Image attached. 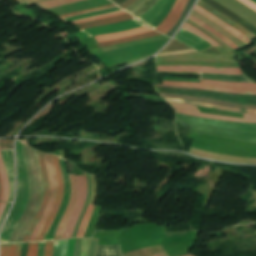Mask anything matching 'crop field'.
Instances as JSON below:
<instances>
[{
    "label": "crop field",
    "instance_id": "16",
    "mask_svg": "<svg viewBox=\"0 0 256 256\" xmlns=\"http://www.w3.org/2000/svg\"><path fill=\"white\" fill-rule=\"evenodd\" d=\"M174 39L196 49L197 51L211 47L209 43H207L200 37L182 29H180V31L176 34Z\"/></svg>",
    "mask_w": 256,
    "mask_h": 256
},
{
    "label": "crop field",
    "instance_id": "32",
    "mask_svg": "<svg viewBox=\"0 0 256 256\" xmlns=\"http://www.w3.org/2000/svg\"><path fill=\"white\" fill-rule=\"evenodd\" d=\"M200 83H211V84H219V85L238 86V87H256V84H248V83L217 82V81H206V80H200Z\"/></svg>",
    "mask_w": 256,
    "mask_h": 256
},
{
    "label": "crop field",
    "instance_id": "41",
    "mask_svg": "<svg viewBox=\"0 0 256 256\" xmlns=\"http://www.w3.org/2000/svg\"><path fill=\"white\" fill-rule=\"evenodd\" d=\"M10 204H11V203H7L6 208H5V210L3 211V213H2V215H1V217H0V224H1V222H2V220H3V218H4L5 214H6V212H7V210H8Z\"/></svg>",
    "mask_w": 256,
    "mask_h": 256
},
{
    "label": "crop field",
    "instance_id": "11",
    "mask_svg": "<svg viewBox=\"0 0 256 256\" xmlns=\"http://www.w3.org/2000/svg\"><path fill=\"white\" fill-rule=\"evenodd\" d=\"M37 154H38V158H39V163L41 165L42 177H43V181H44V198L42 200L40 209H39L38 213L36 214L34 220L32 221L31 225L29 226L27 233L22 242L28 241L35 225L39 221L42 213L44 212V210L46 208L48 198H49V193H50V184H49L48 173H47L45 163H44V154L40 153V152H37Z\"/></svg>",
    "mask_w": 256,
    "mask_h": 256
},
{
    "label": "crop field",
    "instance_id": "23",
    "mask_svg": "<svg viewBox=\"0 0 256 256\" xmlns=\"http://www.w3.org/2000/svg\"><path fill=\"white\" fill-rule=\"evenodd\" d=\"M157 35H161V34L156 31H152V32H148V33H143V34L127 37V38L112 40V41H108V42H102V43H98V44L100 47L112 46V45H116V44H121V43L130 42V41L149 38V37H153V36H157Z\"/></svg>",
    "mask_w": 256,
    "mask_h": 256
},
{
    "label": "crop field",
    "instance_id": "14",
    "mask_svg": "<svg viewBox=\"0 0 256 256\" xmlns=\"http://www.w3.org/2000/svg\"><path fill=\"white\" fill-rule=\"evenodd\" d=\"M1 150L13 149V140H0ZM2 159L5 164L6 174L9 179L10 194L8 202H12L13 197V150L1 151Z\"/></svg>",
    "mask_w": 256,
    "mask_h": 256
},
{
    "label": "crop field",
    "instance_id": "45",
    "mask_svg": "<svg viewBox=\"0 0 256 256\" xmlns=\"http://www.w3.org/2000/svg\"><path fill=\"white\" fill-rule=\"evenodd\" d=\"M5 204L6 203H0V215H1V213H2V211L4 209V207H5Z\"/></svg>",
    "mask_w": 256,
    "mask_h": 256
},
{
    "label": "crop field",
    "instance_id": "31",
    "mask_svg": "<svg viewBox=\"0 0 256 256\" xmlns=\"http://www.w3.org/2000/svg\"><path fill=\"white\" fill-rule=\"evenodd\" d=\"M182 29H186L198 36H200L201 38L207 40V42H209L212 46H217L220 47L219 44L215 43L213 40H211L209 37H207L206 35H204L203 33H201L200 31H198L197 29H195L194 27L184 23V25L182 26Z\"/></svg>",
    "mask_w": 256,
    "mask_h": 256
},
{
    "label": "crop field",
    "instance_id": "17",
    "mask_svg": "<svg viewBox=\"0 0 256 256\" xmlns=\"http://www.w3.org/2000/svg\"><path fill=\"white\" fill-rule=\"evenodd\" d=\"M70 176V181H71V193H70V200L68 202V206L61 218V221L59 223V226L57 228V231L55 233L54 240L60 239V236L62 234V231L64 229L66 220L68 218V215L74 205L75 197H76V181H75V176L74 175H69Z\"/></svg>",
    "mask_w": 256,
    "mask_h": 256
},
{
    "label": "crop field",
    "instance_id": "30",
    "mask_svg": "<svg viewBox=\"0 0 256 256\" xmlns=\"http://www.w3.org/2000/svg\"><path fill=\"white\" fill-rule=\"evenodd\" d=\"M67 240L54 242L53 256H65Z\"/></svg>",
    "mask_w": 256,
    "mask_h": 256
},
{
    "label": "crop field",
    "instance_id": "15",
    "mask_svg": "<svg viewBox=\"0 0 256 256\" xmlns=\"http://www.w3.org/2000/svg\"><path fill=\"white\" fill-rule=\"evenodd\" d=\"M188 0H176L172 10L155 30L166 34L177 22Z\"/></svg>",
    "mask_w": 256,
    "mask_h": 256
},
{
    "label": "crop field",
    "instance_id": "35",
    "mask_svg": "<svg viewBox=\"0 0 256 256\" xmlns=\"http://www.w3.org/2000/svg\"><path fill=\"white\" fill-rule=\"evenodd\" d=\"M90 239H83L81 256H87Z\"/></svg>",
    "mask_w": 256,
    "mask_h": 256
},
{
    "label": "crop field",
    "instance_id": "42",
    "mask_svg": "<svg viewBox=\"0 0 256 256\" xmlns=\"http://www.w3.org/2000/svg\"><path fill=\"white\" fill-rule=\"evenodd\" d=\"M157 87H168V86H157ZM168 88H179V87H168ZM186 89H191V88H186ZM196 90H206V89H196ZM207 91H212V90H207ZM223 93H226V92H223ZM229 94H236V93H229ZM247 95H256V94H247Z\"/></svg>",
    "mask_w": 256,
    "mask_h": 256
},
{
    "label": "crop field",
    "instance_id": "38",
    "mask_svg": "<svg viewBox=\"0 0 256 256\" xmlns=\"http://www.w3.org/2000/svg\"><path fill=\"white\" fill-rule=\"evenodd\" d=\"M240 2H242L243 4H245L246 6H248L249 8H251L252 10H254L256 12V4L248 1V0H239Z\"/></svg>",
    "mask_w": 256,
    "mask_h": 256
},
{
    "label": "crop field",
    "instance_id": "43",
    "mask_svg": "<svg viewBox=\"0 0 256 256\" xmlns=\"http://www.w3.org/2000/svg\"><path fill=\"white\" fill-rule=\"evenodd\" d=\"M181 87H189V86H181ZM191 88H201V87H191ZM209 89V88H206ZM212 90H217V89H212ZM219 91H224V90H219ZM229 92H235V91H229ZM237 93H256V92H237Z\"/></svg>",
    "mask_w": 256,
    "mask_h": 256
},
{
    "label": "crop field",
    "instance_id": "9",
    "mask_svg": "<svg viewBox=\"0 0 256 256\" xmlns=\"http://www.w3.org/2000/svg\"><path fill=\"white\" fill-rule=\"evenodd\" d=\"M157 71H182L242 75L240 68H216L207 66H157Z\"/></svg>",
    "mask_w": 256,
    "mask_h": 256
},
{
    "label": "crop field",
    "instance_id": "19",
    "mask_svg": "<svg viewBox=\"0 0 256 256\" xmlns=\"http://www.w3.org/2000/svg\"><path fill=\"white\" fill-rule=\"evenodd\" d=\"M20 245L21 243L1 245L0 256H19ZM27 256H37V243H29Z\"/></svg>",
    "mask_w": 256,
    "mask_h": 256
},
{
    "label": "crop field",
    "instance_id": "13",
    "mask_svg": "<svg viewBox=\"0 0 256 256\" xmlns=\"http://www.w3.org/2000/svg\"><path fill=\"white\" fill-rule=\"evenodd\" d=\"M144 26L142 23L137 20H129L115 24L103 25L95 28L83 29L82 31L86 33L88 36H94L99 34H109L115 33L119 31H124L136 27Z\"/></svg>",
    "mask_w": 256,
    "mask_h": 256
},
{
    "label": "crop field",
    "instance_id": "4",
    "mask_svg": "<svg viewBox=\"0 0 256 256\" xmlns=\"http://www.w3.org/2000/svg\"><path fill=\"white\" fill-rule=\"evenodd\" d=\"M157 1L158 0H138L124 10L132 16H134L135 18H137L146 11H148L151 7H153ZM174 1L175 0L158 1L157 4L152 9L143 14L138 19L154 29L168 14Z\"/></svg>",
    "mask_w": 256,
    "mask_h": 256
},
{
    "label": "crop field",
    "instance_id": "12",
    "mask_svg": "<svg viewBox=\"0 0 256 256\" xmlns=\"http://www.w3.org/2000/svg\"><path fill=\"white\" fill-rule=\"evenodd\" d=\"M52 161H53V165H54V170H55V174H56V179H57V198L55 201V205L44 225V227L42 228V230L40 231L36 241H42L43 237L45 235V233L47 232L51 222L53 221L56 212L60 206V202L62 199V195H63V182H62V178H61V173H60V168H59V164H58V158L52 155Z\"/></svg>",
    "mask_w": 256,
    "mask_h": 256
},
{
    "label": "crop field",
    "instance_id": "5",
    "mask_svg": "<svg viewBox=\"0 0 256 256\" xmlns=\"http://www.w3.org/2000/svg\"><path fill=\"white\" fill-rule=\"evenodd\" d=\"M76 180H77V197H76L75 205L67 221V224L65 226L61 239L71 237V234L74 230L75 224L79 218L81 209L86 199V195H87L86 176H76Z\"/></svg>",
    "mask_w": 256,
    "mask_h": 256
},
{
    "label": "crop field",
    "instance_id": "18",
    "mask_svg": "<svg viewBox=\"0 0 256 256\" xmlns=\"http://www.w3.org/2000/svg\"><path fill=\"white\" fill-rule=\"evenodd\" d=\"M197 5L201 6L202 8L206 9L207 11L211 12L212 14H214L215 16H217L218 18H220L221 20H223L224 22H226L227 24H229L230 26H232L233 28H235L236 30L241 32L242 34H244L249 39L252 40L256 37L253 34H251L249 31H247L245 28H243L241 25H239L237 22L229 19L224 14H222L221 12L217 11L216 9L210 7L209 5L205 4L204 2L199 0Z\"/></svg>",
    "mask_w": 256,
    "mask_h": 256
},
{
    "label": "crop field",
    "instance_id": "34",
    "mask_svg": "<svg viewBox=\"0 0 256 256\" xmlns=\"http://www.w3.org/2000/svg\"><path fill=\"white\" fill-rule=\"evenodd\" d=\"M82 239H76L74 256H80Z\"/></svg>",
    "mask_w": 256,
    "mask_h": 256
},
{
    "label": "crop field",
    "instance_id": "28",
    "mask_svg": "<svg viewBox=\"0 0 256 256\" xmlns=\"http://www.w3.org/2000/svg\"><path fill=\"white\" fill-rule=\"evenodd\" d=\"M0 175H1V178H2V182H3V196H2L1 201L7 202L9 188H8V181H7V178H6V174H5V170H4V165L2 163L1 155H0Z\"/></svg>",
    "mask_w": 256,
    "mask_h": 256
},
{
    "label": "crop field",
    "instance_id": "29",
    "mask_svg": "<svg viewBox=\"0 0 256 256\" xmlns=\"http://www.w3.org/2000/svg\"><path fill=\"white\" fill-rule=\"evenodd\" d=\"M75 1H79V0H51V1L43 2V3H38L35 5H37L41 9L45 10V9H49V8H52L55 6H59V5H63V4H67V3H71V2H75Z\"/></svg>",
    "mask_w": 256,
    "mask_h": 256
},
{
    "label": "crop field",
    "instance_id": "37",
    "mask_svg": "<svg viewBox=\"0 0 256 256\" xmlns=\"http://www.w3.org/2000/svg\"><path fill=\"white\" fill-rule=\"evenodd\" d=\"M97 240L91 239L90 248H89V256H94L95 248H96Z\"/></svg>",
    "mask_w": 256,
    "mask_h": 256
},
{
    "label": "crop field",
    "instance_id": "2",
    "mask_svg": "<svg viewBox=\"0 0 256 256\" xmlns=\"http://www.w3.org/2000/svg\"><path fill=\"white\" fill-rule=\"evenodd\" d=\"M190 127L191 131L256 143V124L233 123L186 116L176 113Z\"/></svg>",
    "mask_w": 256,
    "mask_h": 256
},
{
    "label": "crop field",
    "instance_id": "26",
    "mask_svg": "<svg viewBox=\"0 0 256 256\" xmlns=\"http://www.w3.org/2000/svg\"><path fill=\"white\" fill-rule=\"evenodd\" d=\"M189 19H191L192 21L198 23L199 25H201L203 28L209 30L210 32H212L214 35H216L217 37H219L220 39H222L225 43H227L232 49H238L237 46H235L232 42H230L227 38H225L223 35H221L220 33H218L217 31H215L214 29H212L211 27H209L208 25L202 23L201 21H199L198 19L189 16Z\"/></svg>",
    "mask_w": 256,
    "mask_h": 256
},
{
    "label": "crop field",
    "instance_id": "7",
    "mask_svg": "<svg viewBox=\"0 0 256 256\" xmlns=\"http://www.w3.org/2000/svg\"><path fill=\"white\" fill-rule=\"evenodd\" d=\"M59 163H60V168H61V173H62V178H63V182H64V196L62 199V203L61 206L57 212V215L54 219V221L52 222L47 234L44 237L43 241H48V240H52L53 236H54V232L55 229L60 221V218L62 216V213L67 205V202L69 200V191H70V185H69V177H68V172H67V168H66V164L65 161L59 158Z\"/></svg>",
    "mask_w": 256,
    "mask_h": 256
},
{
    "label": "crop field",
    "instance_id": "1",
    "mask_svg": "<svg viewBox=\"0 0 256 256\" xmlns=\"http://www.w3.org/2000/svg\"><path fill=\"white\" fill-rule=\"evenodd\" d=\"M22 151L29 176L30 199L21 219L17 223L9 239V242L22 241L24 233L35 216L43 198V181L36 151L26 145H22Z\"/></svg>",
    "mask_w": 256,
    "mask_h": 256
},
{
    "label": "crop field",
    "instance_id": "21",
    "mask_svg": "<svg viewBox=\"0 0 256 256\" xmlns=\"http://www.w3.org/2000/svg\"><path fill=\"white\" fill-rule=\"evenodd\" d=\"M163 99L165 101L175 102V103L193 104V105H198V106H203V107L216 108V109H219V110H226V111H234V112H240V113L256 114V110L236 109V108H231V107L212 105V104H206V103H201V102H192V101H187V100H176V99H167V98H163Z\"/></svg>",
    "mask_w": 256,
    "mask_h": 256
},
{
    "label": "crop field",
    "instance_id": "6",
    "mask_svg": "<svg viewBox=\"0 0 256 256\" xmlns=\"http://www.w3.org/2000/svg\"><path fill=\"white\" fill-rule=\"evenodd\" d=\"M112 5H113V4L106 5V6H102V7H98V8H94V9L78 11V12H74V13H70V14H66V15H60L59 17H60L62 20L65 19L67 22H70V21H74V20H78V19H82V18L94 16V15H99V14H103V13H107V12L119 10V8H117V7H115V6H112ZM108 6H112V7H108ZM104 7H108V8H104ZM99 8H104V9H99ZM95 9H99V10H95ZM91 10H95V11H91ZM86 11H91V12H86ZM82 12H86V13H82ZM78 13H82V14H78ZM122 13H125V12H124L123 10H119V11H115V12H111V13H107V14H103V15H99V16H95V17H90V18H86V19L74 21V22H71V23L77 24V23H82V22H87V21L102 19V18H106V17H111V16H115V15H118V14H122ZM73 14H78V15L66 17V18H64V19L62 18V17L69 16V15H73ZM65 20H64V21H65ZM66 21H65V22H66ZM67 22H66V23H67Z\"/></svg>",
    "mask_w": 256,
    "mask_h": 256
},
{
    "label": "crop field",
    "instance_id": "36",
    "mask_svg": "<svg viewBox=\"0 0 256 256\" xmlns=\"http://www.w3.org/2000/svg\"><path fill=\"white\" fill-rule=\"evenodd\" d=\"M53 242H46L44 256H52Z\"/></svg>",
    "mask_w": 256,
    "mask_h": 256
},
{
    "label": "crop field",
    "instance_id": "40",
    "mask_svg": "<svg viewBox=\"0 0 256 256\" xmlns=\"http://www.w3.org/2000/svg\"><path fill=\"white\" fill-rule=\"evenodd\" d=\"M136 0H127L124 3H122L121 5H119L120 7H122L123 9L128 7L129 5H131L132 3H134Z\"/></svg>",
    "mask_w": 256,
    "mask_h": 256
},
{
    "label": "crop field",
    "instance_id": "27",
    "mask_svg": "<svg viewBox=\"0 0 256 256\" xmlns=\"http://www.w3.org/2000/svg\"><path fill=\"white\" fill-rule=\"evenodd\" d=\"M93 208L94 206H91L89 205L86 212H85V215L80 223V226H79V229H78V232L76 234V237H83L84 233H85V230H86V227H87V223H88V220L90 218V215L93 211Z\"/></svg>",
    "mask_w": 256,
    "mask_h": 256
},
{
    "label": "crop field",
    "instance_id": "49",
    "mask_svg": "<svg viewBox=\"0 0 256 256\" xmlns=\"http://www.w3.org/2000/svg\"><path fill=\"white\" fill-rule=\"evenodd\" d=\"M186 256H191V255L188 254V255H186Z\"/></svg>",
    "mask_w": 256,
    "mask_h": 256
},
{
    "label": "crop field",
    "instance_id": "44",
    "mask_svg": "<svg viewBox=\"0 0 256 256\" xmlns=\"http://www.w3.org/2000/svg\"><path fill=\"white\" fill-rule=\"evenodd\" d=\"M152 256H168V255H167L166 251H164V252H161V253L154 254Z\"/></svg>",
    "mask_w": 256,
    "mask_h": 256
},
{
    "label": "crop field",
    "instance_id": "3",
    "mask_svg": "<svg viewBox=\"0 0 256 256\" xmlns=\"http://www.w3.org/2000/svg\"><path fill=\"white\" fill-rule=\"evenodd\" d=\"M17 151V198L12 212L1 231V243L8 241L9 236L22 215L29 198V185L26 165L21 152L20 140L16 141Z\"/></svg>",
    "mask_w": 256,
    "mask_h": 256
},
{
    "label": "crop field",
    "instance_id": "48",
    "mask_svg": "<svg viewBox=\"0 0 256 256\" xmlns=\"http://www.w3.org/2000/svg\"><path fill=\"white\" fill-rule=\"evenodd\" d=\"M155 91L157 92L156 88L154 87Z\"/></svg>",
    "mask_w": 256,
    "mask_h": 256
},
{
    "label": "crop field",
    "instance_id": "33",
    "mask_svg": "<svg viewBox=\"0 0 256 256\" xmlns=\"http://www.w3.org/2000/svg\"><path fill=\"white\" fill-rule=\"evenodd\" d=\"M195 0H189L180 19L178 20V22L175 24V26L166 34L168 36L171 37V35L173 34V32L175 31V29L177 28V26L180 24V22L183 20V18L185 17V15L187 14L188 10L190 9V7L192 6V4L194 3ZM179 27V26H178ZM177 30V29H176Z\"/></svg>",
    "mask_w": 256,
    "mask_h": 256
},
{
    "label": "crop field",
    "instance_id": "47",
    "mask_svg": "<svg viewBox=\"0 0 256 256\" xmlns=\"http://www.w3.org/2000/svg\"><path fill=\"white\" fill-rule=\"evenodd\" d=\"M250 1H252V2L256 3V0H250Z\"/></svg>",
    "mask_w": 256,
    "mask_h": 256
},
{
    "label": "crop field",
    "instance_id": "22",
    "mask_svg": "<svg viewBox=\"0 0 256 256\" xmlns=\"http://www.w3.org/2000/svg\"><path fill=\"white\" fill-rule=\"evenodd\" d=\"M148 31H152V30L147 28L146 26H144V27H140V28L125 31V32L116 33V34L97 36V37H95V39L97 40V42H102V41H108V40H112V39H116V38H121V37L135 35V34H139V33H143V32H148Z\"/></svg>",
    "mask_w": 256,
    "mask_h": 256
},
{
    "label": "crop field",
    "instance_id": "10",
    "mask_svg": "<svg viewBox=\"0 0 256 256\" xmlns=\"http://www.w3.org/2000/svg\"><path fill=\"white\" fill-rule=\"evenodd\" d=\"M45 160H46V166H47V170H48L49 177H50L51 194H50V198H49L47 208H46L43 216L41 217L40 221L38 222L35 230L33 231L29 241H35L42 225L44 224L46 218L48 217V215L50 213V210L53 206V203L55 201V196H56V179H55L53 166H52V162H51V155L45 154Z\"/></svg>",
    "mask_w": 256,
    "mask_h": 256
},
{
    "label": "crop field",
    "instance_id": "39",
    "mask_svg": "<svg viewBox=\"0 0 256 256\" xmlns=\"http://www.w3.org/2000/svg\"><path fill=\"white\" fill-rule=\"evenodd\" d=\"M45 242L38 244V256H43Z\"/></svg>",
    "mask_w": 256,
    "mask_h": 256
},
{
    "label": "crop field",
    "instance_id": "46",
    "mask_svg": "<svg viewBox=\"0 0 256 256\" xmlns=\"http://www.w3.org/2000/svg\"><path fill=\"white\" fill-rule=\"evenodd\" d=\"M1 195H2V183H1V178H0V199H1Z\"/></svg>",
    "mask_w": 256,
    "mask_h": 256
},
{
    "label": "crop field",
    "instance_id": "25",
    "mask_svg": "<svg viewBox=\"0 0 256 256\" xmlns=\"http://www.w3.org/2000/svg\"><path fill=\"white\" fill-rule=\"evenodd\" d=\"M163 84H169V85H190V86H201V87H210V88H219V89H229V90L256 91V88H235V87L218 86V85H206V84L183 83V82H170V81H164Z\"/></svg>",
    "mask_w": 256,
    "mask_h": 256
},
{
    "label": "crop field",
    "instance_id": "20",
    "mask_svg": "<svg viewBox=\"0 0 256 256\" xmlns=\"http://www.w3.org/2000/svg\"><path fill=\"white\" fill-rule=\"evenodd\" d=\"M194 10L200 12L201 14H203L204 16H206L208 19H210L211 21H213L214 23L220 25L221 27L225 28L226 30H228L229 32H231L233 35H235L237 38H239L242 42H244L245 44L248 43L249 40L248 38H246L244 35H242L241 33H239L238 31H236L235 29H233L232 27H230L229 25H227L226 23H224L223 21H221L220 19H218L217 17H215L214 15H212L211 13L207 12L206 10L202 9L199 6H195Z\"/></svg>",
    "mask_w": 256,
    "mask_h": 256
},
{
    "label": "crop field",
    "instance_id": "8",
    "mask_svg": "<svg viewBox=\"0 0 256 256\" xmlns=\"http://www.w3.org/2000/svg\"><path fill=\"white\" fill-rule=\"evenodd\" d=\"M173 109L178 113L211 118V119H219V120H228V121H238V122H255L256 123V115L251 114H243L244 118H233V117H224V116H215L208 114H201L198 110L197 106L193 105H183V104H174L169 103Z\"/></svg>",
    "mask_w": 256,
    "mask_h": 256
},
{
    "label": "crop field",
    "instance_id": "24",
    "mask_svg": "<svg viewBox=\"0 0 256 256\" xmlns=\"http://www.w3.org/2000/svg\"><path fill=\"white\" fill-rule=\"evenodd\" d=\"M132 18H133L132 16L125 13V14H122V15H119V16H115V17H111V18H106V19H102V20H97V21L77 25L76 27L79 28V29H83V28H89V27H94V26L108 24V23L124 21V20L132 19Z\"/></svg>",
    "mask_w": 256,
    "mask_h": 256
}]
</instances>
